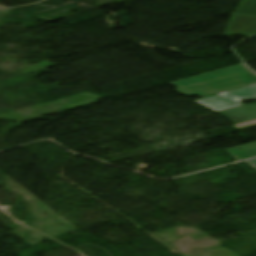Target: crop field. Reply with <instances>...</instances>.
I'll use <instances>...</instances> for the list:
<instances>
[{
  "label": "crop field",
  "instance_id": "obj_1",
  "mask_svg": "<svg viewBox=\"0 0 256 256\" xmlns=\"http://www.w3.org/2000/svg\"><path fill=\"white\" fill-rule=\"evenodd\" d=\"M254 83H256V74L241 64L170 84L178 87L177 91L186 96L198 95L204 97L250 86Z\"/></svg>",
  "mask_w": 256,
  "mask_h": 256
},
{
  "label": "crop field",
  "instance_id": "obj_2",
  "mask_svg": "<svg viewBox=\"0 0 256 256\" xmlns=\"http://www.w3.org/2000/svg\"><path fill=\"white\" fill-rule=\"evenodd\" d=\"M217 113L224 115L233 123L238 124L256 119V105L241 106Z\"/></svg>",
  "mask_w": 256,
  "mask_h": 256
},
{
  "label": "crop field",
  "instance_id": "obj_3",
  "mask_svg": "<svg viewBox=\"0 0 256 256\" xmlns=\"http://www.w3.org/2000/svg\"><path fill=\"white\" fill-rule=\"evenodd\" d=\"M196 102L214 112L242 105L241 102L239 101H236L227 97H223L220 95L206 98Z\"/></svg>",
  "mask_w": 256,
  "mask_h": 256
},
{
  "label": "crop field",
  "instance_id": "obj_4",
  "mask_svg": "<svg viewBox=\"0 0 256 256\" xmlns=\"http://www.w3.org/2000/svg\"><path fill=\"white\" fill-rule=\"evenodd\" d=\"M254 22H256V17L233 15L226 34L234 36Z\"/></svg>",
  "mask_w": 256,
  "mask_h": 256
},
{
  "label": "crop field",
  "instance_id": "obj_5",
  "mask_svg": "<svg viewBox=\"0 0 256 256\" xmlns=\"http://www.w3.org/2000/svg\"><path fill=\"white\" fill-rule=\"evenodd\" d=\"M230 98L242 101V100H256V86H250L235 91L224 93Z\"/></svg>",
  "mask_w": 256,
  "mask_h": 256
},
{
  "label": "crop field",
  "instance_id": "obj_6",
  "mask_svg": "<svg viewBox=\"0 0 256 256\" xmlns=\"http://www.w3.org/2000/svg\"><path fill=\"white\" fill-rule=\"evenodd\" d=\"M234 14L256 16V0H243Z\"/></svg>",
  "mask_w": 256,
  "mask_h": 256
},
{
  "label": "crop field",
  "instance_id": "obj_7",
  "mask_svg": "<svg viewBox=\"0 0 256 256\" xmlns=\"http://www.w3.org/2000/svg\"><path fill=\"white\" fill-rule=\"evenodd\" d=\"M239 35L248 36V37L256 36V24L254 26L250 27L249 29H247L246 31L242 32Z\"/></svg>",
  "mask_w": 256,
  "mask_h": 256
},
{
  "label": "crop field",
  "instance_id": "obj_8",
  "mask_svg": "<svg viewBox=\"0 0 256 256\" xmlns=\"http://www.w3.org/2000/svg\"><path fill=\"white\" fill-rule=\"evenodd\" d=\"M256 126V120L235 125L234 127L238 130Z\"/></svg>",
  "mask_w": 256,
  "mask_h": 256
},
{
  "label": "crop field",
  "instance_id": "obj_9",
  "mask_svg": "<svg viewBox=\"0 0 256 256\" xmlns=\"http://www.w3.org/2000/svg\"><path fill=\"white\" fill-rule=\"evenodd\" d=\"M246 162L256 169V159L250 160V161H246Z\"/></svg>",
  "mask_w": 256,
  "mask_h": 256
}]
</instances>
